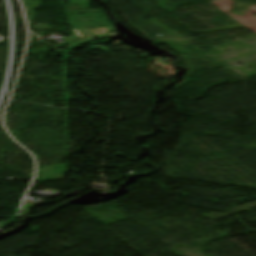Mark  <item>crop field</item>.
Returning a JSON list of instances; mask_svg holds the SVG:
<instances>
[{
    "mask_svg": "<svg viewBox=\"0 0 256 256\" xmlns=\"http://www.w3.org/2000/svg\"><path fill=\"white\" fill-rule=\"evenodd\" d=\"M66 10L74 28L110 26L100 10H90L88 0H69Z\"/></svg>",
    "mask_w": 256,
    "mask_h": 256,
    "instance_id": "8a807250",
    "label": "crop field"
}]
</instances>
